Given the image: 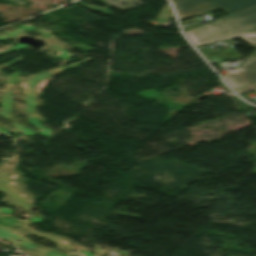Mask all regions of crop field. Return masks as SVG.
Segmentation results:
<instances>
[{"label": "crop field", "instance_id": "1", "mask_svg": "<svg viewBox=\"0 0 256 256\" xmlns=\"http://www.w3.org/2000/svg\"><path fill=\"white\" fill-rule=\"evenodd\" d=\"M186 34L195 46L240 37L256 48V7L193 29ZM237 69L239 71L224 76L233 89L256 81V52Z\"/></svg>", "mask_w": 256, "mask_h": 256}, {"label": "crop field", "instance_id": "2", "mask_svg": "<svg viewBox=\"0 0 256 256\" xmlns=\"http://www.w3.org/2000/svg\"><path fill=\"white\" fill-rule=\"evenodd\" d=\"M172 2L180 21L218 8L232 15L256 6V0H172Z\"/></svg>", "mask_w": 256, "mask_h": 256}, {"label": "crop field", "instance_id": "3", "mask_svg": "<svg viewBox=\"0 0 256 256\" xmlns=\"http://www.w3.org/2000/svg\"><path fill=\"white\" fill-rule=\"evenodd\" d=\"M173 17V12L169 4H166L161 13L157 16V19H161L163 21Z\"/></svg>", "mask_w": 256, "mask_h": 256}, {"label": "crop field", "instance_id": "4", "mask_svg": "<svg viewBox=\"0 0 256 256\" xmlns=\"http://www.w3.org/2000/svg\"><path fill=\"white\" fill-rule=\"evenodd\" d=\"M254 89H252L250 86L246 85V86H243L241 88H238V89H235V91L241 95V94H244L246 92H249V91H252Z\"/></svg>", "mask_w": 256, "mask_h": 256}, {"label": "crop field", "instance_id": "5", "mask_svg": "<svg viewBox=\"0 0 256 256\" xmlns=\"http://www.w3.org/2000/svg\"><path fill=\"white\" fill-rule=\"evenodd\" d=\"M252 88H254L255 90L254 91H256V82H254V83H251V84H249Z\"/></svg>", "mask_w": 256, "mask_h": 256}, {"label": "crop field", "instance_id": "6", "mask_svg": "<svg viewBox=\"0 0 256 256\" xmlns=\"http://www.w3.org/2000/svg\"><path fill=\"white\" fill-rule=\"evenodd\" d=\"M71 1H74V0H71Z\"/></svg>", "mask_w": 256, "mask_h": 256}]
</instances>
